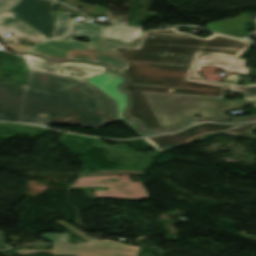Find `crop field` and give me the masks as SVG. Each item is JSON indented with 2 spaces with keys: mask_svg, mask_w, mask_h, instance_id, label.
Masks as SVG:
<instances>
[{
  "mask_svg": "<svg viewBox=\"0 0 256 256\" xmlns=\"http://www.w3.org/2000/svg\"><path fill=\"white\" fill-rule=\"evenodd\" d=\"M139 246H130L113 240L90 241L78 244H54L53 251L17 250L16 254L52 253L68 256H138Z\"/></svg>",
  "mask_w": 256,
  "mask_h": 256,
  "instance_id": "crop-field-6",
  "label": "crop field"
},
{
  "mask_svg": "<svg viewBox=\"0 0 256 256\" xmlns=\"http://www.w3.org/2000/svg\"><path fill=\"white\" fill-rule=\"evenodd\" d=\"M16 55H17V57H18V59H19V61H20V64H21L23 70H24V71L28 70V68H27L26 64L24 63V61H23L21 55H18V54H16Z\"/></svg>",
  "mask_w": 256,
  "mask_h": 256,
  "instance_id": "crop-field-23",
  "label": "crop field"
},
{
  "mask_svg": "<svg viewBox=\"0 0 256 256\" xmlns=\"http://www.w3.org/2000/svg\"><path fill=\"white\" fill-rule=\"evenodd\" d=\"M150 96L169 130L180 128L186 120L196 118L197 115L202 119L223 122L256 118V115L230 118L225 114V111L241 110L249 104L256 108V101L156 94Z\"/></svg>",
  "mask_w": 256,
  "mask_h": 256,
  "instance_id": "crop-field-4",
  "label": "crop field"
},
{
  "mask_svg": "<svg viewBox=\"0 0 256 256\" xmlns=\"http://www.w3.org/2000/svg\"><path fill=\"white\" fill-rule=\"evenodd\" d=\"M55 222L60 224L61 226H63L64 228L71 231L72 233H74L75 235H77L78 237L82 238L85 241L92 239V237L84 234L83 232L79 231L78 229H76L75 227L71 226L70 224H68L67 222H65L63 220H58Z\"/></svg>",
  "mask_w": 256,
  "mask_h": 256,
  "instance_id": "crop-field-18",
  "label": "crop field"
},
{
  "mask_svg": "<svg viewBox=\"0 0 256 256\" xmlns=\"http://www.w3.org/2000/svg\"><path fill=\"white\" fill-rule=\"evenodd\" d=\"M253 128H256V123L251 124V125H247V126H244V127H241V128H237V129H234V130H231V131H227V132H224V133L232 134V135H238V136H242V137H245V138L253 139V138H256V136L251 134V131H252Z\"/></svg>",
  "mask_w": 256,
  "mask_h": 256,
  "instance_id": "crop-field-17",
  "label": "crop field"
},
{
  "mask_svg": "<svg viewBox=\"0 0 256 256\" xmlns=\"http://www.w3.org/2000/svg\"><path fill=\"white\" fill-rule=\"evenodd\" d=\"M250 14H241L238 18L207 24V28L216 32L243 37L246 35L244 25L250 19Z\"/></svg>",
  "mask_w": 256,
  "mask_h": 256,
  "instance_id": "crop-field-15",
  "label": "crop field"
},
{
  "mask_svg": "<svg viewBox=\"0 0 256 256\" xmlns=\"http://www.w3.org/2000/svg\"><path fill=\"white\" fill-rule=\"evenodd\" d=\"M71 16L72 13L69 12H57V20L53 38L63 36L69 32Z\"/></svg>",
  "mask_w": 256,
  "mask_h": 256,
  "instance_id": "crop-field-16",
  "label": "crop field"
},
{
  "mask_svg": "<svg viewBox=\"0 0 256 256\" xmlns=\"http://www.w3.org/2000/svg\"><path fill=\"white\" fill-rule=\"evenodd\" d=\"M244 125H247V124L218 125V124L203 123V124L191 126L177 133L145 138V140L149 142L151 145H153L154 147H156L158 150L162 151V150H166V149L180 146L183 144H187L201 135L224 132V131L231 130Z\"/></svg>",
  "mask_w": 256,
  "mask_h": 256,
  "instance_id": "crop-field-10",
  "label": "crop field"
},
{
  "mask_svg": "<svg viewBox=\"0 0 256 256\" xmlns=\"http://www.w3.org/2000/svg\"><path fill=\"white\" fill-rule=\"evenodd\" d=\"M142 29L123 26H107L106 44L134 47Z\"/></svg>",
  "mask_w": 256,
  "mask_h": 256,
  "instance_id": "crop-field-14",
  "label": "crop field"
},
{
  "mask_svg": "<svg viewBox=\"0 0 256 256\" xmlns=\"http://www.w3.org/2000/svg\"><path fill=\"white\" fill-rule=\"evenodd\" d=\"M87 80L117 101L120 120L128 124L138 134H140L141 136H145V135L161 133V132L140 133L137 130V127L139 126L138 122H134V121L123 118L122 113L127 105L126 93L117 89L116 87L120 85L122 82H124V78H122L118 74L108 72L98 76L87 78Z\"/></svg>",
  "mask_w": 256,
  "mask_h": 256,
  "instance_id": "crop-field-11",
  "label": "crop field"
},
{
  "mask_svg": "<svg viewBox=\"0 0 256 256\" xmlns=\"http://www.w3.org/2000/svg\"><path fill=\"white\" fill-rule=\"evenodd\" d=\"M81 24L74 22L68 37L41 42L25 52L39 54L56 61L105 62L110 65L109 69L112 70L122 67L123 64L105 45L106 27L93 23H91V26H81ZM80 35H88L90 44L73 40V37Z\"/></svg>",
  "mask_w": 256,
  "mask_h": 256,
  "instance_id": "crop-field-3",
  "label": "crop field"
},
{
  "mask_svg": "<svg viewBox=\"0 0 256 256\" xmlns=\"http://www.w3.org/2000/svg\"><path fill=\"white\" fill-rule=\"evenodd\" d=\"M20 1L21 0H0V14L12 9Z\"/></svg>",
  "mask_w": 256,
  "mask_h": 256,
  "instance_id": "crop-field-20",
  "label": "crop field"
},
{
  "mask_svg": "<svg viewBox=\"0 0 256 256\" xmlns=\"http://www.w3.org/2000/svg\"><path fill=\"white\" fill-rule=\"evenodd\" d=\"M10 48H12L14 51L16 52H24L25 50L29 49L30 47H23V46H20V45H9L7 44Z\"/></svg>",
  "mask_w": 256,
  "mask_h": 256,
  "instance_id": "crop-field-21",
  "label": "crop field"
},
{
  "mask_svg": "<svg viewBox=\"0 0 256 256\" xmlns=\"http://www.w3.org/2000/svg\"><path fill=\"white\" fill-rule=\"evenodd\" d=\"M31 70H38L74 78H87L106 71L105 65L95 66L85 63H56L43 58L23 54Z\"/></svg>",
  "mask_w": 256,
  "mask_h": 256,
  "instance_id": "crop-field-9",
  "label": "crop field"
},
{
  "mask_svg": "<svg viewBox=\"0 0 256 256\" xmlns=\"http://www.w3.org/2000/svg\"><path fill=\"white\" fill-rule=\"evenodd\" d=\"M55 3L47 0H22L11 11L31 27L52 38Z\"/></svg>",
  "mask_w": 256,
  "mask_h": 256,
  "instance_id": "crop-field-8",
  "label": "crop field"
},
{
  "mask_svg": "<svg viewBox=\"0 0 256 256\" xmlns=\"http://www.w3.org/2000/svg\"><path fill=\"white\" fill-rule=\"evenodd\" d=\"M251 42L214 34L206 39L177 28L142 34L136 48L109 46L126 65L132 104L126 112L145 129H167L148 93L223 98L227 87L189 80L200 54L239 58Z\"/></svg>",
  "mask_w": 256,
  "mask_h": 256,
  "instance_id": "crop-field-1",
  "label": "crop field"
},
{
  "mask_svg": "<svg viewBox=\"0 0 256 256\" xmlns=\"http://www.w3.org/2000/svg\"><path fill=\"white\" fill-rule=\"evenodd\" d=\"M119 176H122V178ZM81 188H93L95 197L127 200L148 198L142 183L132 182L128 175L79 177L70 185V189Z\"/></svg>",
  "mask_w": 256,
  "mask_h": 256,
  "instance_id": "crop-field-5",
  "label": "crop field"
},
{
  "mask_svg": "<svg viewBox=\"0 0 256 256\" xmlns=\"http://www.w3.org/2000/svg\"><path fill=\"white\" fill-rule=\"evenodd\" d=\"M9 32H14L16 35L38 40L47 39L46 36L28 26L10 11L0 15V37L3 40L8 39L9 37L4 36L3 34Z\"/></svg>",
  "mask_w": 256,
  "mask_h": 256,
  "instance_id": "crop-field-13",
  "label": "crop field"
},
{
  "mask_svg": "<svg viewBox=\"0 0 256 256\" xmlns=\"http://www.w3.org/2000/svg\"><path fill=\"white\" fill-rule=\"evenodd\" d=\"M25 85L0 83V120L19 122Z\"/></svg>",
  "mask_w": 256,
  "mask_h": 256,
  "instance_id": "crop-field-12",
  "label": "crop field"
},
{
  "mask_svg": "<svg viewBox=\"0 0 256 256\" xmlns=\"http://www.w3.org/2000/svg\"><path fill=\"white\" fill-rule=\"evenodd\" d=\"M118 120L116 101L91 83L31 72L22 123L74 124L94 128Z\"/></svg>",
  "mask_w": 256,
  "mask_h": 256,
  "instance_id": "crop-field-2",
  "label": "crop field"
},
{
  "mask_svg": "<svg viewBox=\"0 0 256 256\" xmlns=\"http://www.w3.org/2000/svg\"><path fill=\"white\" fill-rule=\"evenodd\" d=\"M246 61L247 60H243V59L201 55L190 79L209 82V83H215L220 85H226V86H229L228 88L229 91L243 92L246 95L244 99L256 100V84L247 85V86L237 85L241 76L230 75L226 78V80L223 83H218V82L207 81L206 79H204L202 76L198 74L201 67L205 65L214 66L218 69L237 73V74H250L249 69L245 67ZM253 71L256 74V70H253Z\"/></svg>",
  "mask_w": 256,
  "mask_h": 256,
  "instance_id": "crop-field-7",
  "label": "crop field"
},
{
  "mask_svg": "<svg viewBox=\"0 0 256 256\" xmlns=\"http://www.w3.org/2000/svg\"><path fill=\"white\" fill-rule=\"evenodd\" d=\"M15 251H16L15 249H10V250H6V251H2V252H0V254L8 256V255L14 254Z\"/></svg>",
  "mask_w": 256,
  "mask_h": 256,
  "instance_id": "crop-field-24",
  "label": "crop field"
},
{
  "mask_svg": "<svg viewBox=\"0 0 256 256\" xmlns=\"http://www.w3.org/2000/svg\"><path fill=\"white\" fill-rule=\"evenodd\" d=\"M42 235H43V238L53 243L67 242L69 238L68 233H55V234H42Z\"/></svg>",
  "mask_w": 256,
  "mask_h": 256,
  "instance_id": "crop-field-19",
  "label": "crop field"
},
{
  "mask_svg": "<svg viewBox=\"0 0 256 256\" xmlns=\"http://www.w3.org/2000/svg\"><path fill=\"white\" fill-rule=\"evenodd\" d=\"M5 248H9V246L5 244L3 236H2V232L0 230V249H5Z\"/></svg>",
  "mask_w": 256,
  "mask_h": 256,
  "instance_id": "crop-field-22",
  "label": "crop field"
}]
</instances>
